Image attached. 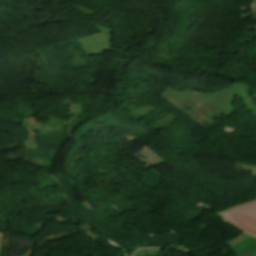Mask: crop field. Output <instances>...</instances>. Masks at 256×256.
<instances>
[{
	"label": "crop field",
	"mask_w": 256,
	"mask_h": 256,
	"mask_svg": "<svg viewBox=\"0 0 256 256\" xmlns=\"http://www.w3.org/2000/svg\"><path fill=\"white\" fill-rule=\"evenodd\" d=\"M220 215L229 223L256 236V218H252L230 210Z\"/></svg>",
	"instance_id": "1"
},
{
	"label": "crop field",
	"mask_w": 256,
	"mask_h": 256,
	"mask_svg": "<svg viewBox=\"0 0 256 256\" xmlns=\"http://www.w3.org/2000/svg\"><path fill=\"white\" fill-rule=\"evenodd\" d=\"M230 210L256 217V201L239 205L237 207L231 208Z\"/></svg>",
	"instance_id": "2"
}]
</instances>
